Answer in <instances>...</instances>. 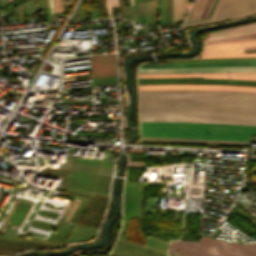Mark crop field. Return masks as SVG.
Segmentation results:
<instances>
[{"instance_id":"cbeb9de0","label":"crop field","mask_w":256,"mask_h":256,"mask_svg":"<svg viewBox=\"0 0 256 256\" xmlns=\"http://www.w3.org/2000/svg\"><path fill=\"white\" fill-rule=\"evenodd\" d=\"M249 39H256V33L250 34V35H244V36H237V37L212 39V40H208L206 44L233 42V41H241V40H249Z\"/></svg>"},{"instance_id":"dd49c442","label":"crop field","mask_w":256,"mask_h":256,"mask_svg":"<svg viewBox=\"0 0 256 256\" xmlns=\"http://www.w3.org/2000/svg\"><path fill=\"white\" fill-rule=\"evenodd\" d=\"M254 45L256 40L206 45L201 58L256 56V53L244 54L242 49V47Z\"/></svg>"},{"instance_id":"d1516ede","label":"crop field","mask_w":256,"mask_h":256,"mask_svg":"<svg viewBox=\"0 0 256 256\" xmlns=\"http://www.w3.org/2000/svg\"><path fill=\"white\" fill-rule=\"evenodd\" d=\"M255 32H256V23L213 32L210 34L208 39L244 35V34H250Z\"/></svg>"},{"instance_id":"22f410ed","label":"crop field","mask_w":256,"mask_h":256,"mask_svg":"<svg viewBox=\"0 0 256 256\" xmlns=\"http://www.w3.org/2000/svg\"><path fill=\"white\" fill-rule=\"evenodd\" d=\"M157 0H149V24H155ZM144 23L148 24V0L144 1Z\"/></svg>"},{"instance_id":"412701ff","label":"crop field","mask_w":256,"mask_h":256,"mask_svg":"<svg viewBox=\"0 0 256 256\" xmlns=\"http://www.w3.org/2000/svg\"><path fill=\"white\" fill-rule=\"evenodd\" d=\"M169 251L183 256H256V243L238 244L202 237L200 242L171 241Z\"/></svg>"},{"instance_id":"ac0d7876","label":"crop field","mask_w":256,"mask_h":256,"mask_svg":"<svg viewBox=\"0 0 256 256\" xmlns=\"http://www.w3.org/2000/svg\"><path fill=\"white\" fill-rule=\"evenodd\" d=\"M142 137L201 138L248 141L256 126L141 122Z\"/></svg>"},{"instance_id":"eef30255","label":"crop field","mask_w":256,"mask_h":256,"mask_svg":"<svg viewBox=\"0 0 256 256\" xmlns=\"http://www.w3.org/2000/svg\"><path fill=\"white\" fill-rule=\"evenodd\" d=\"M119 5H120V10H121V16H122V18H124L125 13H124V15H123L121 0H119ZM125 18H126V17H125Z\"/></svg>"},{"instance_id":"1d83c4d3","label":"crop field","mask_w":256,"mask_h":256,"mask_svg":"<svg viewBox=\"0 0 256 256\" xmlns=\"http://www.w3.org/2000/svg\"><path fill=\"white\" fill-rule=\"evenodd\" d=\"M21 14L22 16H24L22 4H21Z\"/></svg>"},{"instance_id":"28ad6ade","label":"crop field","mask_w":256,"mask_h":256,"mask_svg":"<svg viewBox=\"0 0 256 256\" xmlns=\"http://www.w3.org/2000/svg\"><path fill=\"white\" fill-rule=\"evenodd\" d=\"M185 76H207V77H215V78L256 79V74H172V75H138V78H149V77H185Z\"/></svg>"},{"instance_id":"ae1a2a85","label":"crop field","mask_w":256,"mask_h":256,"mask_svg":"<svg viewBox=\"0 0 256 256\" xmlns=\"http://www.w3.org/2000/svg\"><path fill=\"white\" fill-rule=\"evenodd\" d=\"M213 2H214V0H211V3H210L209 8H208V10H207V13L205 12V13H206L205 17L207 16V14H208V12H209V10H210V8H211ZM205 17H204V18H205Z\"/></svg>"},{"instance_id":"34b2d1b8","label":"crop field","mask_w":256,"mask_h":256,"mask_svg":"<svg viewBox=\"0 0 256 256\" xmlns=\"http://www.w3.org/2000/svg\"><path fill=\"white\" fill-rule=\"evenodd\" d=\"M141 121L196 122L235 125H256V114L231 112H197L149 110L140 111Z\"/></svg>"},{"instance_id":"d3111659","label":"crop field","mask_w":256,"mask_h":256,"mask_svg":"<svg viewBox=\"0 0 256 256\" xmlns=\"http://www.w3.org/2000/svg\"><path fill=\"white\" fill-rule=\"evenodd\" d=\"M244 50H249V49H256V46L254 47H246V48H243Z\"/></svg>"},{"instance_id":"5866460e","label":"crop field","mask_w":256,"mask_h":256,"mask_svg":"<svg viewBox=\"0 0 256 256\" xmlns=\"http://www.w3.org/2000/svg\"><path fill=\"white\" fill-rule=\"evenodd\" d=\"M79 10H80V17H81V9H80V6H79ZM81 20H82V17H81Z\"/></svg>"},{"instance_id":"e1f06a70","label":"crop field","mask_w":256,"mask_h":256,"mask_svg":"<svg viewBox=\"0 0 256 256\" xmlns=\"http://www.w3.org/2000/svg\"><path fill=\"white\" fill-rule=\"evenodd\" d=\"M2 1H3V0H0V6H2Z\"/></svg>"},{"instance_id":"028f5c9d","label":"crop field","mask_w":256,"mask_h":256,"mask_svg":"<svg viewBox=\"0 0 256 256\" xmlns=\"http://www.w3.org/2000/svg\"><path fill=\"white\" fill-rule=\"evenodd\" d=\"M12 2V0H8V5Z\"/></svg>"},{"instance_id":"730fd06b","label":"crop field","mask_w":256,"mask_h":256,"mask_svg":"<svg viewBox=\"0 0 256 256\" xmlns=\"http://www.w3.org/2000/svg\"><path fill=\"white\" fill-rule=\"evenodd\" d=\"M124 8H125V13H126V14H130V9H129V7H124ZM126 17H127V19L130 20V15H126Z\"/></svg>"},{"instance_id":"3316defc","label":"crop field","mask_w":256,"mask_h":256,"mask_svg":"<svg viewBox=\"0 0 256 256\" xmlns=\"http://www.w3.org/2000/svg\"><path fill=\"white\" fill-rule=\"evenodd\" d=\"M229 65H256V60L230 61V62H203V63L142 64L139 68L177 67V66H229Z\"/></svg>"},{"instance_id":"dafd665d","label":"crop field","mask_w":256,"mask_h":256,"mask_svg":"<svg viewBox=\"0 0 256 256\" xmlns=\"http://www.w3.org/2000/svg\"><path fill=\"white\" fill-rule=\"evenodd\" d=\"M139 22L143 23V2L139 4Z\"/></svg>"},{"instance_id":"92a150f3","label":"crop field","mask_w":256,"mask_h":256,"mask_svg":"<svg viewBox=\"0 0 256 256\" xmlns=\"http://www.w3.org/2000/svg\"><path fill=\"white\" fill-rule=\"evenodd\" d=\"M49 5H50L51 21H52V23H54L55 22V18H54V10H53V0H49Z\"/></svg>"},{"instance_id":"4177f3b9","label":"crop field","mask_w":256,"mask_h":256,"mask_svg":"<svg viewBox=\"0 0 256 256\" xmlns=\"http://www.w3.org/2000/svg\"><path fill=\"white\" fill-rule=\"evenodd\" d=\"M216 142H228V143H247V142H237V141H222V140H211Z\"/></svg>"},{"instance_id":"a9b5d70f","label":"crop field","mask_w":256,"mask_h":256,"mask_svg":"<svg viewBox=\"0 0 256 256\" xmlns=\"http://www.w3.org/2000/svg\"><path fill=\"white\" fill-rule=\"evenodd\" d=\"M224 73H256V72H224ZM140 74H169V73H140Z\"/></svg>"},{"instance_id":"e52e79f7","label":"crop field","mask_w":256,"mask_h":256,"mask_svg":"<svg viewBox=\"0 0 256 256\" xmlns=\"http://www.w3.org/2000/svg\"><path fill=\"white\" fill-rule=\"evenodd\" d=\"M223 71H256V66L251 67H205V68H149L138 69L140 72H223Z\"/></svg>"},{"instance_id":"d32e631a","label":"crop field","mask_w":256,"mask_h":256,"mask_svg":"<svg viewBox=\"0 0 256 256\" xmlns=\"http://www.w3.org/2000/svg\"><path fill=\"white\" fill-rule=\"evenodd\" d=\"M6 3H7V0H4L3 5H6Z\"/></svg>"},{"instance_id":"5a996713","label":"crop field","mask_w":256,"mask_h":256,"mask_svg":"<svg viewBox=\"0 0 256 256\" xmlns=\"http://www.w3.org/2000/svg\"><path fill=\"white\" fill-rule=\"evenodd\" d=\"M139 90L150 89H231L256 91L253 87L216 86V85H143L138 86Z\"/></svg>"},{"instance_id":"214f88e0","label":"crop field","mask_w":256,"mask_h":256,"mask_svg":"<svg viewBox=\"0 0 256 256\" xmlns=\"http://www.w3.org/2000/svg\"><path fill=\"white\" fill-rule=\"evenodd\" d=\"M144 166L143 162L129 161L127 167H141Z\"/></svg>"},{"instance_id":"00972430","label":"crop field","mask_w":256,"mask_h":256,"mask_svg":"<svg viewBox=\"0 0 256 256\" xmlns=\"http://www.w3.org/2000/svg\"><path fill=\"white\" fill-rule=\"evenodd\" d=\"M142 139H168V140H196V141H208V140H199V139H171V138H142Z\"/></svg>"},{"instance_id":"f4fd0767","label":"crop field","mask_w":256,"mask_h":256,"mask_svg":"<svg viewBox=\"0 0 256 256\" xmlns=\"http://www.w3.org/2000/svg\"><path fill=\"white\" fill-rule=\"evenodd\" d=\"M226 1L230 0H219L218 3ZM254 13H256V0H235L217 5L211 18L183 23L180 27L203 25Z\"/></svg>"},{"instance_id":"733c2abd","label":"crop field","mask_w":256,"mask_h":256,"mask_svg":"<svg viewBox=\"0 0 256 256\" xmlns=\"http://www.w3.org/2000/svg\"><path fill=\"white\" fill-rule=\"evenodd\" d=\"M173 0H165V23H171Z\"/></svg>"},{"instance_id":"4a817a6b","label":"crop field","mask_w":256,"mask_h":256,"mask_svg":"<svg viewBox=\"0 0 256 256\" xmlns=\"http://www.w3.org/2000/svg\"><path fill=\"white\" fill-rule=\"evenodd\" d=\"M105 4H106V7H107L108 16L112 17L110 7H119L118 0H105Z\"/></svg>"},{"instance_id":"750c4746","label":"crop field","mask_w":256,"mask_h":256,"mask_svg":"<svg viewBox=\"0 0 256 256\" xmlns=\"http://www.w3.org/2000/svg\"><path fill=\"white\" fill-rule=\"evenodd\" d=\"M216 2H217V0H215V2H214L213 6H212V9H211V11H210V14H211V12H212V10H213V8H214ZM210 14H209V16H210ZM209 16H208V17H209Z\"/></svg>"},{"instance_id":"bd1437ed","label":"crop field","mask_w":256,"mask_h":256,"mask_svg":"<svg viewBox=\"0 0 256 256\" xmlns=\"http://www.w3.org/2000/svg\"><path fill=\"white\" fill-rule=\"evenodd\" d=\"M62 3H63V7L67 6L66 0H62Z\"/></svg>"},{"instance_id":"120bbe31","label":"crop field","mask_w":256,"mask_h":256,"mask_svg":"<svg viewBox=\"0 0 256 256\" xmlns=\"http://www.w3.org/2000/svg\"><path fill=\"white\" fill-rule=\"evenodd\" d=\"M134 4V0H130V5H133Z\"/></svg>"},{"instance_id":"bc2a9ffb","label":"crop field","mask_w":256,"mask_h":256,"mask_svg":"<svg viewBox=\"0 0 256 256\" xmlns=\"http://www.w3.org/2000/svg\"><path fill=\"white\" fill-rule=\"evenodd\" d=\"M44 6H45L46 21H47V23H51L50 16H49L48 0H44Z\"/></svg>"},{"instance_id":"d9b57169","label":"crop field","mask_w":256,"mask_h":256,"mask_svg":"<svg viewBox=\"0 0 256 256\" xmlns=\"http://www.w3.org/2000/svg\"><path fill=\"white\" fill-rule=\"evenodd\" d=\"M206 0H196L193 14L190 20L198 19L203 11Z\"/></svg>"},{"instance_id":"8a807250","label":"crop field","mask_w":256,"mask_h":256,"mask_svg":"<svg viewBox=\"0 0 256 256\" xmlns=\"http://www.w3.org/2000/svg\"><path fill=\"white\" fill-rule=\"evenodd\" d=\"M139 93L252 95L256 92L230 90H150ZM227 95L139 94L140 110L172 109L256 113V97Z\"/></svg>"},{"instance_id":"d8731c3e","label":"crop field","mask_w":256,"mask_h":256,"mask_svg":"<svg viewBox=\"0 0 256 256\" xmlns=\"http://www.w3.org/2000/svg\"><path fill=\"white\" fill-rule=\"evenodd\" d=\"M91 75L117 72L114 54L96 55L90 57Z\"/></svg>"},{"instance_id":"5142ce71","label":"crop field","mask_w":256,"mask_h":256,"mask_svg":"<svg viewBox=\"0 0 256 256\" xmlns=\"http://www.w3.org/2000/svg\"><path fill=\"white\" fill-rule=\"evenodd\" d=\"M183 8H184V0H174L172 23L178 22L181 20Z\"/></svg>"}]
</instances>
